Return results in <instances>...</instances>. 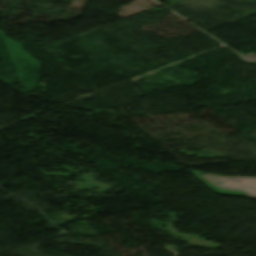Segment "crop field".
<instances>
[{"label": "crop field", "mask_w": 256, "mask_h": 256, "mask_svg": "<svg viewBox=\"0 0 256 256\" xmlns=\"http://www.w3.org/2000/svg\"><path fill=\"white\" fill-rule=\"evenodd\" d=\"M204 183L219 193L256 197V178H232L200 175L193 172Z\"/></svg>", "instance_id": "obj_1"}]
</instances>
